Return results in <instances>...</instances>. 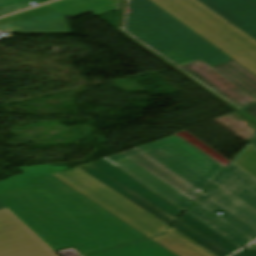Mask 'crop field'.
<instances>
[{
    "instance_id": "crop-field-1",
    "label": "crop field",
    "mask_w": 256,
    "mask_h": 256,
    "mask_svg": "<svg viewBox=\"0 0 256 256\" xmlns=\"http://www.w3.org/2000/svg\"><path fill=\"white\" fill-rule=\"evenodd\" d=\"M18 169L24 174L0 181V201L54 251L87 255L147 239L50 175L67 166Z\"/></svg>"
},
{
    "instance_id": "crop-field-2",
    "label": "crop field",
    "mask_w": 256,
    "mask_h": 256,
    "mask_svg": "<svg viewBox=\"0 0 256 256\" xmlns=\"http://www.w3.org/2000/svg\"><path fill=\"white\" fill-rule=\"evenodd\" d=\"M124 30L147 48L256 118V76L149 0H127Z\"/></svg>"
},
{
    "instance_id": "crop-field-3",
    "label": "crop field",
    "mask_w": 256,
    "mask_h": 256,
    "mask_svg": "<svg viewBox=\"0 0 256 256\" xmlns=\"http://www.w3.org/2000/svg\"><path fill=\"white\" fill-rule=\"evenodd\" d=\"M105 159L183 210L225 167L178 135Z\"/></svg>"
},
{
    "instance_id": "crop-field-4",
    "label": "crop field",
    "mask_w": 256,
    "mask_h": 256,
    "mask_svg": "<svg viewBox=\"0 0 256 256\" xmlns=\"http://www.w3.org/2000/svg\"><path fill=\"white\" fill-rule=\"evenodd\" d=\"M185 212L241 248L256 238V180L231 164Z\"/></svg>"
},
{
    "instance_id": "crop-field-5",
    "label": "crop field",
    "mask_w": 256,
    "mask_h": 256,
    "mask_svg": "<svg viewBox=\"0 0 256 256\" xmlns=\"http://www.w3.org/2000/svg\"><path fill=\"white\" fill-rule=\"evenodd\" d=\"M52 175L148 238L163 234L169 227L78 168Z\"/></svg>"
},
{
    "instance_id": "crop-field-6",
    "label": "crop field",
    "mask_w": 256,
    "mask_h": 256,
    "mask_svg": "<svg viewBox=\"0 0 256 256\" xmlns=\"http://www.w3.org/2000/svg\"><path fill=\"white\" fill-rule=\"evenodd\" d=\"M0 256H57L8 209L0 211Z\"/></svg>"
},
{
    "instance_id": "crop-field-7",
    "label": "crop field",
    "mask_w": 256,
    "mask_h": 256,
    "mask_svg": "<svg viewBox=\"0 0 256 256\" xmlns=\"http://www.w3.org/2000/svg\"><path fill=\"white\" fill-rule=\"evenodd\" d=\"M184 25L226 53L256 45L255 39L217 14Z\"/></svg>"
},
{
    "instance_id": "crop-field-8",
    "label": "crop field",
    "mask_w": 256,
    "mask_h": 256,
    "mask_svg": "<svg viewBox=\"0 0 256 256\" xmlns=\"http://www.w3.org/2000/svg\"><path fill=\"white\" fill-rule=\"evenodd\" d=\"M89 165L93 166L100 172L104 173L111 179L115 180L119 184L123 185L127 189L131 190L132 192L136 193L140 197L144 198L151 204L155 205L165 213L169 214L173 218H177L183 210L175 206L174 204L170 203L148 187L144 186L122 170L118 169L108 161L102 159L95 162L89 163Z\"/></svg>"
},
{
    "instance_id": "crop-field-9",
    "label": "crop field",
    "mask_w": 256,
    "mask_h": 256,
    "mask_svg": "<svg viewBox=\"0 0 256 256\" xmlns=\"http://www.w3.org/2000/svg\"><path fill=\"white\" fill-rule=\"evenodd\" d=\"M256 39V4L250 0H200Z\"/></svg>"
},
{
    "instance_id": "crop-field-10",
    "label": "crop field",
    "mask_w": 256,
    "mask_h": 256,
    "mask_svg": "<svg viewBox=\"0 0 256 256\" xmlns=\"http://www.w3.org/2000/svg\"><path fill=\"white\" fill-rule=\"evenodd\" d=\"M180 22L215 14L197 0H151Z\"/></svg>"
},
{
    "instance_id": "crop-field-11",
    "label": "crop field",
    "mask_w": 256,
    "mask_h": 256,
    "mask_svg": "<svg viewBox=\"0 0 256 256\" xmlns=\"http://www.w3.org/2000/svg\"><path fill=\"white\" fill-rule=\"evenodd\" d=\"M92 167L89 166V165H83V166H79L78 168L85 171L86 173H88L92 177L96 178L97 180H99L103 184L107 185L108 187H110L114 191L118 192L119 194H121L122 196H124L128 200L132 201L133 203H135L139 207L143 208L144 210H146L150 214L154 215L155 217H157L161 221L165 222L169 226L175 220L172 217H170L169 215H167L164 212H162L161 210H159L158 208H156L155 206L151 205L150 203H148L144 199L135 195L131 191L127 190L123 186L119 185L118 183L111 180L110 178H108L107 176H105L104 174L100 173L99 171H97L96 169H94Z\"/></svg>"
},
{
    "instance_id": "crop-field-12",
    "label": "crop field",
    "mask_w": 256,
    "mask_h": 256,
    "mask_svg": "<svg viewBox=\"0 0 256 256\" xmlns=\"http://www.w3.org/2000/svg\"><path fill=\"white\" fill-rule=\"evenodd\" d=\"M151 240L177 256H215L172 228L164 236Z\"/></svg>"
},
{
    "instance_id": "crop-field-13",
    "label": "crop field",
    "mask_w": 256,
    "mask_h": 256,
    "mask_svg": "<svg viewBox=\"0 0 256 256\" xmlns=\"http://www.w3.org/2000/svg\"><path fill=\"white\" fill-rule=\"evenodd\" d=\"M91 256H175L148 240Z\"/></svg>"
},
{
    "instance_id": "crop-field-14",
    "label": "crop field",
    "mask_w": 256,
    "mask_h": 256,
    "mask_svg": "<svg viewBox=\"0 0 256 256\" xmlns=\"http://www.w3.org/2000/svg\"><path fill=\"white\" fill-rule=\"evenodd\" d=\"M178 221L185 224L189 228L193 229L197 233L201 234L202 236H204L205 238L212 241L213 243L220 246L221 248H223L224 250L228 251L231 254L240 249L185 212Z\"/></svg>"
},
{
    "instance_id": "crop-field-15",
    "label": "crop field",
    "mask_w": 256,
    "mask_h": 256,
    "mask_svg": "<svg viewBox=\"0 0 256 256\" xmlns=\"http://www.w3.org/2000/svg\"><path fill=\"white\" fill-rule=\"evenodd\" d=\"M172 228L179 231L183 235L187 236L188 238L195 241L196 243L203 246L204 248L211 251L212 253H214L217 256H229V255H231L228 252L224 251L220 247L216 246L212 242L208 241L207 239H205L204 237L197 234L196 232L189 229L188 227H186L185 225L181 224L178 221L175 223V225Z\"/></svg>"
},
{
    "instance_id": "crop-field-16",
    "label": "crop field",
    "mask_w": 256,
    "mask_h": 256,
    "mask_svg": "<svg viewBox=\"0 0 256 256\" xmlns=\"http://www.w3.org/2000/svg\"><path fill=\"white\" fill-rule=\"evenodd\" d=\"M256 178V148L248 145L232 162Z\"/></svg>"
},
{
    "instance_id": "crop-field-17",
    "label": "crop field",
    "mask_w": 256,
    "mask_h": 256,
    "mask_svg": "<svg viewBox=\"0 0 256 256\" xmlns=\"http://www.w3.org/2000/svg\"><path fill=\"white\" fill-rule=\"evenodd\" d=\"M228 55L256 75V46L228 53Z\"/></svg>"
},
{
    "instance_id": "crop-field-18",
    "label": "crop field",
    "mask_w": 256,
    "mask_h": 256,
    "mask_svg": "<svg viewBox=\"0 0 256 256\" xmlns=\"http://www.w3.org/2000/svg\"><path fill=\"white\" fill-rule=\"evenodd\" d=\"M47 1L50 0H0V17L33 7L32 2L40 4Z\"/></svg>"
},
{
    "instance_id": "crop-field-19",
    "label": "crop field",
    "mask_w": 256,
    "mask_h": 256,
    "mask_svg": "<svg viewBox=\"0 0 256 256\" xmlns=\"http://www.w3.org/2000/svg\"><path fill=\"white\" fill-rule=\"evenodd\" d=\"M178 135H180L181 137H183L184 139H186L187 141H189L190 143H192L193 145H195L196 147H198L199 149H201L202 151H204L205 153H207L208 155H210L211 157H213L223 165L226 166L229 163H231L225 158H223L222 156H220L218 153H216L215 151H213L212 149H210L209 147H207L206 145L198 141L196 138L188 134L187 132L183 131L181 133H178Z\"/></svg>"
},
{
    "instance_id": "crop-field-20",
    "label": "crop field",
    "mask_w": 256,
    "mask_h": 256,
    "mask_svg": "<svg viewBox=\"0 0 256 256\" xmlns=\"http://www.w3.org/2000/svg\"><path fill=\"white\" fill-rule=\"evenodd\" d=\"M111 1L114 2L117 5L111 6V7H108V8H104V9H100V10H97V11H93V13L98 15V14H102V13L113 11V10H116V9L120 8L121 0H111Z\"/></svg>"
},
{
    "instance_id": "crop-field-21",
    "label": "crop field",
    "mask_w": 256,
    "mask_h": 256,
    "mask_svg": "<svg viewBox=\"0 0 256 256\" xmlns=\"http://www.w3.org/2000/svg\"><path fill=\"white\" fill-rule=\"evenodd\" d=\"M234 256H256V251L245 249V250L235 254Z\"/></svg>"
},
{
    "instance_id": "crop-field-22",
    "label": "crop field",
    "mask_w": 256,
    "mask_h": 256,
    "mask_svg": "<svg viewBox=\"0 0 256 256\" xmlns=\"http://www.w3.org/2000/svg\"><path fill=\"white\" fill-rule=\"evenodd\" d=\"M248 249L256 250V242L249 246Z\"/></svg>"
},
{
    "instance_id": "crop-field-23",
    "label": "crop field",
    "mask_w": 256,
    "mask_h": 256,
    "mask_svg": "<svg viewBox=\"0 0 256 256\" xmlns=\"http://www.w3.org/2000/svg\"><path fill=\"white\" fill-rule=\"evenodd\" d=\"M250 144L256 147V138Z\"/></svg>"
},
{
    "instance_id": "crop-field-24",
    "label": "crop field",
    "mask_w": 256,
    "mask_h": 256,
    "mask_svg": "<svg viewBox=\"0 0 256 256\" xmlns=\"http://www.w3.org/2000/svg\"><path fill=\"white\" fill-rule=\"evenodd\" d=\"M6 209V207L0 202V210Z\"/></svg>"
},
{
    "instance_id": "crop-field-25",
    "label": "crop field",
    "mask_w": 256,
    "mask_h": 256,
    "mask_svg": "<svg viewBox=\"0 0 256 256\" xmlns=\"http://www.w3.org/2000/svg\"><path fill=\"white\" fill-rule=\"evenodd\" d=\"M251 1H253L254 3H256V0H251Z\"/></svg>"
}]
</instances>
